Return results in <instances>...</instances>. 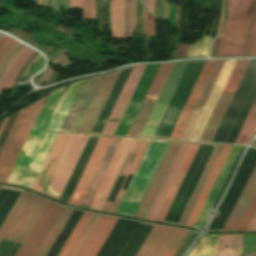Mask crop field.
Wrapping results in <instances>:
<instances>
[{"label":"crop field","mask_w":256,"mask_h":256,"mask_svg":"<svg viewBox=\"0 0 256 256\" xmlns=\"http://www.w3.org/2000/svg\"><path fill=\"white\" fill-rule=\"evenodd\" d=\"M121 139L122 138H117V137L112 138V140H111V142H110V144H109V146H108V148H107V150H106V152L96 170V173H95V175H94V177H93V179H92V181H91V183H90V185H89V187L79 205L80 207H85V208L89 207L91 200L94 196V193H95Z\"/></svg>","instance_id":"crop-field-27"},{"label":"crop field","mask_w":256,"mask_h":256,"mask_svg":"<svg viewBox=\"0 0 256 256\" xmlns=\"http://www.w3.org/2000/svg\"><path fill=\"white\" fill-rule=\"evenodd\" d=\"M154 1L155 0H148L147 7L153 13L154 10Z\"/></svg>","instance_id":"crop-field-59"},{"label":"crop field","mask_w":256,"mask_h":256,"mask_svg":"<svg viewBox=\"0 0 256 256\" xmlns=\"http://www.w3.org/2000/svg\"><path fill=\"white\" fill-rule=\"evenodd\" d=\"M120 71L102 77L76 132H91Z\"/></svg>","instance_id":"crop-field-15"},{"label":"crop field","mask_w":256,"mask_h":256,"mask_svg":"<svg viewBox=\"0 0 256 256\" xmlns=\"http://www.w3.org/2000/svg\"><path fill=\"white\" fill-rule=\"evenodd\" d=\"M90 18H96L95 0H89Z\"/></svg>","instance_id":"crop-field-53"},{"label":"crop field","mask_w":256,"mask_h":256,"mask_svg":"<svg viewBox=\"0 0 256 256\" xmlns=\"http://www.w3.org/2000/svg\"><path fill=\"white\" fill-rule=\"evenodd\" d=\"M231 147L232 146H228V145L224 146V148H223V150H222V152H221V154H220V156H219V158H218V160H217V162H216V164L206 182V185H205V187H204V189H203V191H202V193H201V195H200V197H199V199H198V201H197V203H196V205L186 223L187 227H191V228L193 227Z\"/></svg>","instance_id":"crop-field-29"},{"label":"crop field","mask_w":256,"mask_h":256,"mask_svg":"<svg viewBox=\"0 0 256 256\" xmlns=\"http://www.w3.org/2000/svg\"><path fill=\"white\" fill-rule=\"evenodd\" d=\"M100 17H101V26H100V31H102V28H103V18H102V0H100Z\"/></svg>","instance_id":"crop-field-60"},{"label":"crop field","mask_w":256,"mask_h":256,"mask_svg":"<svg viewBox=\"0 0 256 256\" xmlns=\"http://www.w3.org/2000/svg\"><path fill=\"white\" fill-rule=\"evenodd\" d=\"M247 231H256V213H255Z\"/></svg>","instance_id":"crop-field-57"},{"label":"crop field","mask_w":256,"mask_h":256,"mask_svg":"<svg viewBox=\"0 0 256 256\" xmlns=\"http://www.w3.org/2000/svg\"><path fill=\"white\" fill-rule=\"evenodd\" d=\"M11 39L12 38L2 34V36L0 37V53L7 46V44L10 42Z\"/></svg>","instance_id":"crop-field-50"},{"label":"crop field","mask_w":256,"mask_h":256,"mask_svg":"<svg viewBox=\"0 0 256 256\" xmlns=\"http://www.w3.org/2000/svg\"><path fill=\"white\" fill-rule=\"evenodd\" d=\"M219 41L214 39V43H213V47H212V51H211V55L210 57L216 56L217 55V51H218V47H219Z\"/></svg>","instance_id":"crop-field-55"},{"label":"crop field","mask_w":256,"mask_h":256,"mask_svg":"<svg viewBox=\"0 0 256 256\" xmlns=\"http://www.w3.org/2000/svg\"><path fill=\"white\" fill-rule=\"evenodd\" d=\"M173 64L160 65L126 136H139Z\"/></svg>","instance_id":"crop-field-12"},{"label":"crop field","mask_w":256,"mask_h":256,"mask_svg":"<svg viewBox=\"0 0 256 256\" xmlns=\"http://www.w3.org/2000/svg\"><path fill=\"white\" fill-rule=\"evenodd\" d=\"M34 52L35 51L29 49L26 46H23L21 48V50L18 52V54L13 59L11 65L9 66L7 72L5 73L4 77L2 78V80L0 82V95H1L3 88L12 87L20 70L26 64V62L29 60L30 56Z\"/></svg>","instance_id":"crop-field-31"},{"label":"crop field","mask_w":256,"mask_h":256,"mask_svg":"<svg viewBox=\"0 0 256 256\" xmlns=\"http://www.w3.org/2000/svg\"><path fill=\"white\" fill-rule=\"evenodd\" d=\"M66 49H64L60 54H59V56L54 60V62L53 63H56V64H61V65H65V64H67L68 63V60H67V57H66V55H65V53H66Z\"/></svg>","instance_id":"crop-field-47"},{"label":"crop field","mask_w":256,"mask_h":256,"mask_svg":"<svg viewBox=\"0 0 256 256\" xmlns=\"http://www.w3.org/2000/svg\"><path fill=\"white\" fill-rule=\"evenodd\" d=\"M255 211H256V196H255V198H254V200H253V202H252L248 212L246 213V215H245V217H244V219H243V221H242L238 231H246V229H247V227H248V225H249V223H250V221H251Z\"/></svg>","instance_id":"crop-field-44"},{"label":"crop field","mask_w":256,"mask_h":256,"mask_svg":"<svg viewBox=\"0 0 256 256\" xmlns=\"http://www.w3.org/2000/svg\"><path fill=\"white\" fill-rule=\"evenodd\" d=\"M149 142L150 141H143V140H136L135 141V143H134V145L131 149V152H130L127 160H126L127 163H126V165H125V167H124V169H123V171H122V173H121V175H120L116 184H119V185L123 186L128 174H131V175L134 174V172H135V170H136V168H137V166H138V164H139V162H140V160H141ZM135 147H138V149H137L134 157L131 158ZM125 192L126 191L120 189L115 201L114 202L107 201L104 208H103V211H108V212L115 213L119 204H120V202H121V200H122V198H123V196H124V194H125Z\"/></svg>","instance_id":"crop-field-24"},{"label":"crop field","mask_w":256,"mask_h":256,"mask_svg":"<svg viewBox=\"0 0 256 256\" xmlns=\"http://www.w3.org/2000/svg\"><path fill=\"white\" fill-rule=\"evenodd\" d=\"M85 81L71 84L60 100L64 87L49 94L6 183L32 188L58 134L44 132V130H59L78 89Z\"/></svg>","instance_id":"crop-field-1"},{"label":"crop field","mask_w":256,"mask_h":256,"mask_svg":"<svg viewBox=\"0 0 256 256\" xmlns=\"http://www.w3.org/2000/svg\"><path fill=\"white\" fill-rule=\"evenodd\" d=\"M218 235L201 238L189 256H216Z\"/></svg>","instance_id":"crop-field-38"},{"label":"crop field","mask_w":256,"mask_h":256,"mask_svg":"<svg viewBox=\"0 0 256 256\" xmlns=\"http://www.w3.org/2000/svg\"><path fill=\"white\" fill-rule=\"evenodd\" d=\"M216 146V145H215ZM224 145H217L178 225L184 226Z\"/></svg>","instance_id":"crop-field-32"},{"label":"crop field","mask_w":256,"mask_h":256,"mask_svg":"<svg viewBox=\"0 0 256 256\" xmlns=\"http://www.w3.org/2000/svg\"><path fill=\"white\" fill-rule=\"evenodd\" d=\"M189 44L179 45L177 47V58L186 57Z\"/></svg>","instance_id":"crop-field-48"},{"label":"crop field","mask_w":256,"mask_h":256,"mask_svg":"<svg viewBox=\"0 0 256 256\" xmlns=\"http://www.w3.org/2000/svg\"><path fill=\"white\" fill-rule=\"evenodd\" d=\"M83 5V19H89L88 16V0H82Z\"/></svg>","instance_id":"crop-field-52"},{"label":"crop field","mask_w":256,"mask_h":256,"mask_svg":"<svg viewBox=\"0 0 256 256\" xmlns=\"http://www.w3.org/2000/svg\"><path fill=\"white\" fill-rule=\"evenodd\" d=\"M47 200L22 191L4 223L0 227L2 240L22 244Z\"/></svg>","instance_id":"crop-field-2"},{"label":"crop field","mask_w":256,"mask_h":256,"mask_svg":"<svg viewBox=\"0 0 256 256\" xmlns=\"http://www.w3.org/2000/svg\"><path fill=\"white\" fill-rule=\"evenodd\" d=\"M243 235H219L217 256H239Z\"/></svg>","instance_id":"crop-field-35"},{"label":"crop field","mask_w":256,"mask_h":256,"mask_svg":"<svg viewBox=\"0 0 256 256\" xmlns=\"http://www.w3.org/2000/svg\"><path fill=\"white\" fill-rule=\"evenodd\" d=\"M256 194V168L252 173L244 191L242 192L233 212L231 213L223 231H237L245 213Z\"/></svg>","instance_id":"crop-field-25"},{"label":"crop field","mask_w":256,"mask_h":256,"mask_svg":"<svg viewBox=\"0 0 256 256\" xmlns=\"http://www.w3.org/2000/svg\"><path fill=\"white\" fill-rule=\"evenodd\" d=\"M168 6H169V0L166 1V9H165V17H164V20H165V21H166V19H167Z\"/></svg>","instance_id":"crop-field-61"},{"label":"crop field","mask_w":256,"mask_h":256,"mask_svg":"<svg viewBox=\"0 0 256 256\" xmlns=\"http://www.w3.org/2000/svg\"><path fill=\"white\" fill-rule=\"evenodd\" d=\"M147 65L135 66L101 134L113 135Z\"/></svg>","instance_id":"crop-field-18"},{"label":"crop field","mask_w":256,"mask_h":256,"mask_svg":"<svg viewBox=\"0 0 256 256\" xmlns=\"http://www.w3.org/2000/svg\"><path fill=\"white\" fill-rule=\"evenodd\" d=\"M248 0H228V15L218 56H235Z\"/></svg>","instance_id":"crop-field-9"},{"label":"crop field","mask_w":256,"mask_h":256,"mask_svg":"<svg viewBox=\"0 0 256 256\" xmlns=\"http://www.w3.org/2000/svg\"><path fill=\"white\" fill-rule=\"evenodd\" d=\"M210 43L211 39L203 35L199 41L190 45L187 57H207Z\"/></svg>","instance_id":"crop-field-39"},{"label":"crop field","mask_w":256,"mask_h":256,"mask_svg":"<svg viewBox=\"0 0 256 256\" xmlns=\"http://www.w3.org/2000/svg\"><path fill=\"white\" fill-rule=\"evenodd\" d=\"M72 7H79V8H82V6H81V0H70V6H69V8H72Z\"/></svg>","instance_id":"crop-field-58"},{"label":"crop field","mask_w":256,"mask_h":256,"mask_svg":"<svg viewBox=\"0 0 256 256\" xmlns=\"http://www.w3.org/2000/svg\"><path fill=\"white\" fill-rule=\"evenodd\" d=\"M240 149H241V147H237V146L232 147V149H231V151H230V153L220 171V174H219L193 228H200V226L202 225V223L208 216V211L213 209V207L219 197V194L226 182V179L233 167V164L240 152Z\"/></svg>","instance_id":"crop-field-22"},{"label":"crop field","mask_w":256,"mask_h":256,"mask_svg":"<svg viewBox=\"0 0 256 256\" xmlns=\"http://www.w3.org/2000/svg\"><path fill=\"white\" fill-rule=\"evenodd\" d=\"M252 147H256V140H255L254 143L252 144Z\"/></svg>","instance_id":"crop-field-65"},{"label":"crop field","mask_w":256,"mask_h":256,"mask_svg":"<svg viewBox=\"0 0 256 256\" xmlns=\"http://www.w3.org/2000/svg\"><path fill=\"white\" fill-rule=\"evenodd\" d=\"M72 212H73L72 209L64 207L63 211L59 215L58 219L56 220L55 224L53 225L52 229L48 233L47 237L45 238L44 242L40 246L35 256H46L49 249L51 248L54 241L56 240L57 236L59 235L62 228L64 227L65 223L67 222L68 218L72 214Z\"/></svg>","instance_id":"crop-field-34"},{"label":"crop field","mask_w":256,"mask_h":256,"mask_svg":"<svg viewBox=\"0 0 256 256\" xmlns=\"http://www.w3.org/2000/svg\"><path fill=\"white\" fill-rule=\"evenodd\" d=\"M61 3L64 4V10H67L69 6V0H55V10H60Z\"/></svg>","instance_id":"crop-field-51"},{"label":"crop field","mask_w":256,"mask_h":256,"mask_svg":"<svg viewBox=\"0 0 256 256\" xmlns=\"http://www.w3.org/2000/svg\"><path fill=\"white\" fill-rule=\"evenodd\" d=\"M246 256H255V253H252V254H248Z\"/></svg>","instance_id":"crop-field-66"},{"label":"crop field","mask_w":256,"mask_h":256,"mask_svg":"<svg viewBox=\"0 0 256 256\" xmlns=\"http://www.w3.org/2000/svg\"><path fill=\"white\" fill-rule=\"evenodd\" d=\"M62 209L63 206L48 201L15 256H34Z\"/></svg>","instance_id":"crop-field-10"},{"label":"crop field","mask_w":256,"mask_h":256,"mask_svg":"<svg viewBox=\"0 0 256 256\" xmlns=\"http://www.w3.org/2000/svg\"><path fill=\"white\" fill-rule=\"evenodd\" d=\"M132 1L133 0H125V34H124V39L130 37Z\"/></svg>","instance_id":"crop-field-42"},{"label":"crop field","mask_w":256,"mask_h":256,"mask_svg":"<svg viewBox=\"0 0 256 256\" xmlns=\"http://www.w3.org/2000/svg\"><path fill=\"white\" fill-rule=\"evenodd\" d=\"M182 142L171 141L135 217L145 219Z\"/></svg>","instance_id":"crop-field-17"},{"label":"crop field","mask_w":256,"mask_h":256,"mask_svg":"<svg viewBox=\"0 0 256 256\" xmlns=\"http://www.w3.org/2000/svg\"><path fill=\"white\" fill-rule=\"evenodd\" d=\"M236 56H256V0H249Z\"/></svg>","instance_id":"crop-field-23"},{"label":"crop field","mask_w":256,"mask_h":256,"mask_svg":"<svg viewBox=\"0 0 256 256\" xmlns=\"http://www.w3.org/2000/svg\"><path fill=\"white\" fill-rule=\"evenodd\" d=\"M111 32L113 38L123 39L124 0H111Z\"/></svg>","instance_id":"crop-field-36"},{"label":"crop field","mask_w":256,"mask_h":256,"mask_svg":"<svg viewBox=\"0 0 256 256\" xmlns=\"http://www.w3.org/2000/svg\"><path fill=\"white\" fill-rule=\"evenodd\" d=\"M223 63H224V61H218L217 62L216 66H215V68H214V70H213V72H212V74H211V76H210L206 86H205V89H204V91H203V93H202V95H201V97H200V99H199V101H198V103H197V105L195 107L194 112H196V113L200 112V110H201V108H202V106H203V104H204V102H205V100H206L210 90H211V87H212V85H213V83H214V81H215V79H216V77H217V75H218V73H219Z\"/></svg>","instance_id":"crop-field-40"},{"label":"crop field","mask_w":256,"mask_h":256,"mask_svg":"<svg viewBox=\"0 0 256 256\" xmlns=\"http://www.w3.org/2000/svg\"><path fill=\"white\" fill-rule=\"evenodd\" d=\"M76 135H80L78 140H75ZM88 138L89 135H74L69 148L61 162V165L54 177V180L47 192V196L57 200L59 199Z\"/></svg>","instance_id":"crop-field-11"},{"label":"crop field","mask_w":256,"mask_h":256,"mask_svg":"<svg viewBox=\"0 0 256 256\" xmlns=\"http://www.w3.org/2000/svg\"><path fill=\"white\" fill-rule=\"evenodd\" d=\"M74 134L59 133L50 153L41 169V172L33 186V190L46 194L56 172L48 170L54 155L63 157ZM55 156L49 169L57 170L62 158Z\"/></svg>","instance_id":"crop-field-14"},{"label":"crop field","mask_w":256,"mask_h":256,"mask_svg":"<svg viewBox=\"0 0 256 256\" xmlns=\"http://www.w3.org/2000/svg\"><path fill=\"white\" fill-rule=\"evenodd\" d=\"M237 60H226L188 140L198 141Z\"/></svg>","instance_id":"crop-field-13"},{"label":"crop field","mask_w":256,"mask_h":256,"mask_svg":"<svg viewBox=\"0 0 256 256\" xmlns=\"http://www.w3.org/2000/svg\"><path fill=\"white\" fill-rule=\"evenodd\" d=\"M185 233V230L155 225L137 256H172ZM190 234L187 231L173 256H178Z\"/></svg>","instance_id":"crop-field-6"},{"label":"crop field","mask_w":256,"mask_h":256,"mask_svg":"<svg viewBox=\"0 0 256 256\" xmlns=\"http://www.w3.org/2000/svg\"><path fill=\"white\" fill-rule=\"evenodd\" d=\"M52 71H53V70L48 67L47 71L45 72L44 76L42 77L41 81H40L39 84H38L39 86H40L45 80L49 79V77H50Z\"/></svg>","instance_id":"crop-field-56"},{"label":"crop field","mask_w":256,"mask_h":256,"mask_svg":"<svg viewBox=\"0 0 256 256\" xmlns=\"http://www.w3.org/2000/svg\"><path fill=\"white\" fill-rule=\"evenodd\" d=\"M205 61L189 62L153 138H169Z\"/></svg>","instance_id":"crop-field-5"},{"label":"crop field","mask_w":256,"mask_h":256,"mask_svg":"<svg viewBox=\"0 0 256 256\" xmlns=\"http://www.w3.org/2000/svg\"><path fill=\"white\" fill-rule=\"evenodd\" d=\"M199 145L200 144H196V143L192 144V146H191V148L181 166V169H180V171H179V173H178V175L168 193V196H167V198H166V200L156 218L157 221H161V222L163 221Z\"/></svg>","instance_id":"crop-field-30"},{"label":"crop field","mask_w":256,"mask_h":256,"mask_svg":"<svg viewBox=\"0 0 256 256\" xmlns=\"http://www.w3.org/2000/svg\"><path fill=\"white\" fill-rule=\"evenodd\" d=\"M24 46V45H23ZM22 47V44L18 43L15 45V47L12 49V51L9 53V55L6 57L4 62L2 63L0 67V79L2 78L3 74L7 70L11 60L14 58V56L17 54L19 49Z\"/></svg>","instance_id":"crop-field-45"},{"label":"crop field","mask_w":256,"mask_h":256,"mask_svg":"<svg viewBox=\"0 0 256 256\" xmlns=\"http://www.w3.org/2000/svg\"><path fill=\"white\" fill-rule=\"evenodd\" d=\"M17 41L13 40L9 43V45L5 48V50L0 55V65L4 58L7 56V54L10 52V50L13 48V46L16 44Z\"/></svg>","instance_id":"crop-field-49"},{"label":"crop field","mask_w":256,"mask_h":256,"mask_svg":"<svg viewBox=\"0 0 256 256\" xmlns=\"http://www.w3.org/2000/svg\"><path fill=\"white\" fill-rule=\"evenodd\" d=\"M256 250V235H244L242 255Z\"/></svg>","instance_id":"crop-field-43"},{"label":"crop field","mask_w":256,"mask_h":256,"mask_svg":"<svg viewBox=\"0 0 256 256\" xmlns=\"http://www.w3.org/2000/svg\"><path fill=\"white\" fill-rule=\"evenodd\" d=\"M188 62H175L139 137H153Z\"/></svg>","instance_id":"crop-field-8"},{"label":"crop field","mask_w":256,"mask_h":256,"mask_svg":"<svg viewBox=\"0 0 256 256\" xmlns=\"http://www.w3.org/2000/svg\"><path fill=\"white\" fill-rule=\"evenodd\" d=\"M168 142L151 141L117 210L118 214L134 216Z\"/></svg>","instance_id":"crop-field-3"},{"label":"crop field","mask_w":256,"mask_h":256,"mask_svg":"<svg viewBox=\"0 0 256 256\" xmlns=\"http://www.w3.org/2000/svg\"><path fill=\"white\" fill-rule=\"evenodd\" d=\"M45 97L20 111L0 152V182L5 183L15 160L43 106Z\"/></svg>","instance_id":"crop-field-4"},{"label":"crop field","mask_w":256,"mask_h":256,"mask_svg":"<svg viewBox=\"0 0 256 256\" xmlns=\"http://www.w3.org/2000/svg\"><path fill=\"white\" fill-rule=\"evenodd\" d=\"M0 189H1V187H0Z\"/></svg>","instance_id":"crop-field-67"},{"label":"crop field","mask_w":256,"mask_h":256,"mask_svg":"<svg viewBox=\"0 0 256 256\" xmlns=\"http://www.w3.org/2000/svg\"><path fill=\"white\" fill-rule=\"evenodd\" d=\"M111 138L112 137H106V136L100 137L85 167V170L69 200L70 204H74L77 206L79 205Z\"/></svg>","instance_id":"crop-field-21"},{"label":"crop field","mask_w":256,"mask_h":256,"mask_svg":"<svg viewBox=\"0 0 256 256\" xmlns=\"http://www.w3.org/2000/svg\"><path fill=\"white\" fill-rule=\"evenodd\" d=\"M89 215H90V213L84 212L83 216L79 220L78 224L76 225L75 229L73 230L72 234L68 238L67 242L65 243L64 247L62 248V250L60 251L58 256H64L66 254L67 250L71 246L72 242L76 238L77 234L79 233L80 229L84 225V223L87 220V218L89 217Z\"/></svg>","instance_id":"crop-field-41"},{"label":"crop field","mask_w":256,"mask_h":256,"mask_svg":"<svg viewBox=\"0 0 256 256\" xmlns=\"http://www.w3.org/2000/svg\"><path fill=\"white\" fill-rule=\"evenodd\" d=\"M147 35L154 36V25H153V15L147 11V28H146Z\"/></svg>","instance_id":"crop-field-46"},{"label":"crop field","mask_w":256,"mask_h":256,"mask_svg":"<svg viewBox=\"0 0 256 256\" xmlns=\"http://www.w3.org/2000/svg\"><path fill=\"white\" fill-rule=\"evenodd\" d=\"M7 121H8V119L5 120V121L3 122V124H2V126H1V128H0V135H1V133H2V131H3V129H4V127H5L6 123H7Z\"/></svg>","instance_id":"crop-field-62"},{"label":"crop field","mask_w":256,"mask_h":256,"mask_svg":"<svg viewBox=\"0 0 256 256\" xmlns=\"http://www.w3.org/2000/svg\"><path fill=\"white\" fill-rule=\"evenodd\" d=\"M36 6L42 7V0H36Z\"/></svg>","instance_id":"crop-field-63"},{"label":"crop field","mask_w":256,"mask_h":256,"mask_svg":"<svg viewBox=\"0 0 256 256\" xmlns=\"http://www.w3.org/2000/svg\"><path fill=\"white\" fill-rule=\"evenodd\" d=\"M192 143L183 142L146 219L154 220Z\"/></svg>","instance_id":"crop-field-26"},{"label":"crop field","mask_w":256,"mask_h":256,"mask_svg":"<svg viewBox=\"0 0 256 256\" xmlns=\"http://www.w3.org/2000/svg\"><path fill=\"white\" fill-rule=\"evenodd\" d=\"M217 60H207L169 139L179 140Z\"/></svg>","instance_id":"crop-field-20"},{"label":"crop field","mask_w":256,"mask_h":256,"mask_svg":"<svg viewBox=\"0 0 256 256\" xmlns=\"http://www.w3.org/2000/svg\"><path fill=\"white\" fill-rule=\"evenodd\" d=\"M250 60H238L199 141L211 142Z\"/></svg>","instance_id":"crop-field-7"},{"label":"crop field","mask_w":256,"mask_h":256,"mask_svg":"<svg viewBox=\"0 0 256 256\" xmlns=\"http://www.w3.org/2000/svg\"><path fill=\"white\" fill-rule=\"evenodd\" d=\"M134 140L129 138L122 139L89 208L101 209Z\"/></svg>","instance_id":"crop-field-16"},{"label":"crop field","mask_w":256,"mask_h":256,"mask_svg":"<svg viewBox=\"0 0 256 256\" xmlns=\"http://www.w3.org/2000/svg\"><path fill=\"white\" fill-rule=\"evenodd\" d=\"M43 6H47V0H43Z\"/></svg>","instance_id":"crop-field-64"},{"label":"crop field","mask_w":256,"mask_h":256,"mask_svg":"<svg viewBox=\"0 0 256 256\" xmlns=\"http://www.w3.org/2000/svg\"><path fill=\"white\" fill-rule=\"evenodd\" d=\"M136 2H137V0H134L133 9H132V30H131V37L133 36L134 27H135V8H136Z\"/></svg>","instance_id":"crop-field-54"},{"label":"crop field","mask_w":256,"mask_h":256,"mask_svg":"<svg viewBox=\"0 0 256 256\" xmlns=\"http://www.w3.org/2000/svg\"><path fill=\"white\" fill-rule=\"evenodd\" d=\"M118 218L103 216L79 256H96Z\"/></svg>","instance_id":"crop-field-28"},{"label":"crop field","mask_w":256,"mask_h":256,"mask_svg":"<svg viewBox=\"0 0 256 256\" xmlns=\"http://www.w3.org/2000/svg\"><path fill=\"white\" fill-rule=\"evenodd\" d=\"M256 133V100L248 114V117L235 141V144L246 145Z\"/></svg>","instance_id":"crop-field-37"},{"label":"crop field","mask_w":256,"mask_h":256,"mask_svg":"<svg viewBox=\"0 0 256 256\" xmlns=\"http://www.w3.org/2000/svg\"><path fill=\"white\" fill-rule=\"evenodd\" d=\"M102 216L91 213L75 242L73 243L71 249L66 256H78L83 249L84 245L88 241L89 237L93 233L97 224L101 220Z\"/></svg>","instance_id":"crop-field-33"},{"label":"crop field","mask_w":256,"mask_h":256,"mask_svg":"<svg viewBox=\"0 0 256 256\" xmlns=\"http://www.w3.org/2000/svg\"><path fill=\"white\" fill-rule=\"evenodd\" d=\"M160 64L148 65L114 135L125 136Z\"/></svg>","instance_id":"crop-field-19"}]
</instances>
